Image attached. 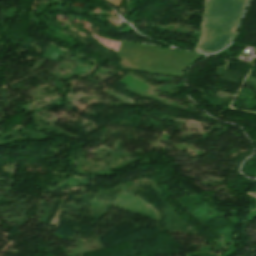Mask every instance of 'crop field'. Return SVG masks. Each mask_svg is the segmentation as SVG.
Instances as JSON below:
<instances>
[{
    "label": "crop field",
    "instance_id": "8a807250",
    "mask_svg": "<svg viewBox=\"0 0 256 256\" xmlns=\"http://www.w3.org/2000/svg\"><path fill=\"white\" fill-rule=\"evenodd\" d=\"M248 0H205L200 42L196 51L215 52L233 38Z\"/></svg>",
    "mask_w": 256,
    "mask_h": 256
},
{
    "label": "crop field",
    "instance_id": "ac0d7876",
    "mask_svg": "<svg viewBox=\"0 0 256 256\" xmlns=\"http://www.w3.org/2000/svg\"><path fill=\"white\" fill-rule=\"evenodd\" d=\"M106 1L112 3V4L116 5V6H119V4L121 2V0H106Z\"/></svg>",
    "mask_w": 256,
    "mask_h": 256
}]
</instances>
